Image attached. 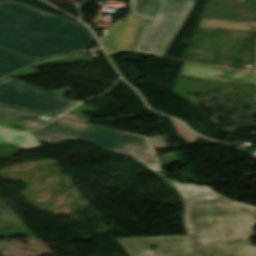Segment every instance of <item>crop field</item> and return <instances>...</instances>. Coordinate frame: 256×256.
<instances>
[{"label":"crop field","instance_id":"1","mask_svg":"<svg viewBox=\"0 0 256 256\" xmlns=\"http://www.w3.org/2000/svg\"><path fill=\"white\" fill-rule=\"evenodd\" d=\"M186 203L185 222L196 256H256L248 240L253 206L229 200L207 186L169 181Z\"/></svg>","mask_w":256,"mask_h":256},{"label":"crop field","instance_id":"2","mask_svg":"<svg viewBox=\"0 0 256 256\" xmlns=\"http://www.w3.org/2000/svg\"><path fill=\"white\" fill-rule=\"evenodd\" d=\"M85 26L14 0L0 3V46L41 61L85 51L94 41Z\"/></svg>","mask_w":256,"mask_h":256},{"label":"crop field","instance_id":"3","mask_svg":"<svg viewBox=\"0 0 256 256\" xmlns=\"http://www.w3.org/2000/svg\"><path fill=\"white\" fill-rule=\"evenodd\" d=\"M195 4L196 0H130L126 21H151L140 26L133 51L165 57Z\"/></svg>","mask_w":256,"mask_h":256},{"label":"crop field","instance_id":"4","mask_svg":"<svg viewBox=\"0 0 256 256\" xmlns=\"http://www.w3.org/2000/svg\"><path fill=\"white\" fill-rule=\"evenodd\" d=\"M38 141L56 144L66 139L91 141L107 151L130 155L153 172L159 169L146 137L90 126L62 118L41 130L34 131Z\"/></svg>","mask_w":256,"mask_h":256},{"label":"crop field","instance_id":"5","mask_svg":"<svg viewBox=\"0 0 256 256\" xmlns=\"http://www.w3.org/2000/svg\"><path fill=\"white\" fill-rule=\"evenodd\" d=\"M0 102L48 114L63 113L78 103L11 77L0 82Z\"/></svg>","mask_w":256,"mask_h":256},{"label":"crop field","instance_id":"6","mask_svg":"<svg viewBox=\"0 0 256 256\" xmlns=\"http://www.w3.org/2000/svg\"><path fill=\"white\" fill-rule=\"evenodd\" d=\"M199 27L256 31V22L202 18ZM179 75L223 80L256 86V59L254 73L184 63Z\"/></svg>","mask_w":256,"mask_h":256},{"label":"crop field","instance_id":"7","mask_svg":"<svg viewBox=\"0 0 256 256\" xmlns=\"http://www.w3.org/2000/svg\"><path fill=\"white\" fill-rule=\"evenodd\" d=\"M130 256H194L187 236L118 239ZM156 245L151 251L149 247Z\"/></svg>","mask_w":256,"mask_h":256},{"label":"crop field","instance_id":"8","mask_svg":"<svg viewBox=\"0 0 256 256\" xmlns=\"http://www.w3.org/2000/svg\"><path fill=\"white\" fill-rule=\"evenodd\" d=\"M136 24L116 22L112 29H105L100 42L105 50L131 51L138 30Z\"/></svg>","mask_w":256,"mask_h":256},{"label":"crop field","instance_id":"9","mask_svg":"<svg viewBox=\"0 0 256 256\" xmlns=\"http://www.w3.org/2000/svg\"><path fill=\"white\" fill-rule=\"evenodd\" d=\"M44 116L46 115L5 105H0V118L24 123L28 126L29 130L39 128L44 124L48 123L53 118H55L47 116L49 118L47 121H45L42 119V117Z\"/></svg>","mask_w":256,"mask_h":256},{"label":"crop field","instance_id":"10","mask_svg":"<svg viewBox=\"0 0 256 256\" xmlns=\"http://www.w3.org/2000/svg\"><path fill=\"white\" fill-rule=\"evenodd\" d=\"M35 64L34 61L0 48V81Z\"/></svg>","mask_w":256,"mask_h":256},{"label":"crop field","instance_id":"11","mask_svg":"<svg viewBox=\"0 0 256 256\" xmlns=\"http://www.w3.org/2000/svg\"><path fill=\"white\" fill-rule=\"evenodd\" d=\"M3 141L20 149H30L41 146L32 132L21 133L0 127V143Z\"/></svg>","mask_w":256,"mask_h":256},{"label":"crop field","instance_id":"12","mask_svg":"<svg viewBox=\"0 0 256 256\" xmlns=\"http://www.w3.org/2000/svg\"><path fill=\"white\" fill-rule=\"evenodd\" d=\"M88 61H94V59L88 57L86 54L81 56H72L67 58H60V59H53L48 62H45L41 65L46 64H60V63H75V62H88ZM39 65V66H41Z\"/></svg>","mask_w":256,"mask_h":256},{"label":"crop field","instance_id":"13","mask_svg":"<svg viewBox=\"0 0 256 256\" xmlns=\"http://www.w3.org/2000/svg\"><path fill=\"white\" fill-rule=\"evenodd\" d=\"M94 111H97V110H95L92 107L82 103L79 106H77L76 108L69 111L67 114L79 115L81 112H94Z\"/></svg>","mask_w":256,"mask_h":256},{"label":"crop field","instance_id":"14","mask_svg":"<svg viewBox=\"0 0 256 256\" xmlns=\"http://www.w3.org/2000/svg\"><path fill=\"white\" fill-rule=\"evenodd\" d=\"M0 125L15 128V129H20V130H23V131H28L27 126H25L24 124H21V123L13 122V121H10L6 124H1L0 123Z\"/></svg>","mask_w":256,"mask_h":256},{"label":"crop field","instance_id":"15","mask_svg":"<svg viewBox=\"0 0 256 256\" xmlns=\"http://www.w3.org/2000/svg\"><path fill=\"white\" fill-rule=\"evenodd\" d=\"M33 73H35L34 70L28 69V70H26L25 72L22 73V76L31 75V74H33Z\"/></svg>","mask_w":256,"mask_h":256},{"label":"crop field","instance_id":"16","mask_svg":"<svg viewBox=\"0 0 256 256\" xmlns=\"http://www.w3.org/2000/svg\"><path fill=\"white\" fill-rule=\"evenodd\" d=\"M7 120H2V119H0V122H6Z\"/></svg>","mask_w":256,"mask_h":256},{"label":"crop field","instance_id":"17","mask_svg":"<svg viewBox=\"0 0 256 256\" xmlns=\"http://www.w3.org/2000/svg\"><path fill=\"white\" fill-rule=\"evenodd\" d=\"M3 1V0H0V2Z\"/></svg>","mask_w":256,"mask_h":256}]
</instances>
